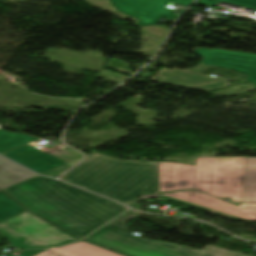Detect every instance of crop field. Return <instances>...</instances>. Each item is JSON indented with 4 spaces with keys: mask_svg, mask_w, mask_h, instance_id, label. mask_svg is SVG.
Masks as SVG:
<instances>
[{
    "mask_svg": "<svg viewBox=\"0 0 256 256\" xmlns=\"http://www.w3.org/2000/svg\"><path fill=\"white\" fill-rule=\"evenodd\" d=\"M3 190L36 215L80 238L127 209L110 200L42 176ZM82 229L86 232L80 234Z\"/></svg>",
    "mask_w": 256,
    "mask_h": 256,
    "instance_id": "crop-field-1",
    "label": "crop field"
},
{
    "mask_svg": "<svg viewBox=\"0 0 256 256\" xmlns=\"http://www.w3.org/2000/svg\"><path fill=\"white\" fill-rule=\"evenodd\" d=\"M62 179L125 205L141 194L159 193L157 162L119 161L98 153Z\"/></svg>",
    "mask_w": 256,
    "mask_h": 256,
    "instance_id": "crop-field-2",
    "label": "crop field"
},
{
    "mask_svg": "<svg viewBox=\"0 0 256 256\" xmlns=\"http://www.w3.org/2000/svg\"><path fill=\"white\" fill-rule=\"evenodd\" d=\"M246 157H198L197 166L158 162L160 192L193 189L242 202Z\"/></svg>",
    "mask_w": 256,
    "mask_h": 256,
    "instance_id": "crop-field-3",
    "label": "crop field"
},
{
    "mask_svg": "<svg viewBox=\"0 0 256 256\" xmlns=\"http://www.w3.org/2000/svg\"><path fill=\"white\" fill-rule=\"evenodd\" d=\"M139 213L129 210L84 240L127 256H247L210 245L199 250L140 238L126 227L127 221Z\"/></svg>",
    "mask_w": 256,
    "mask_h": 256,
    "instance_id": "crop-field-4",
    "label": "crop field"
},
{
    "mask_svg": "<svg viewBox=\"0 0 256 256\" xmlns=\"http://www.w3.org/2000/svg\"><path fill=\"white\" fill-rule=\"evenodd\" d=\"M0 233L19 249L54 247L78 240L27 211L1 221Z\"/></svg>",
    "mask_w": 256,
    "mask_h": 256,
    "instance_id": "crop-field-5",
    "label": "crop field"
},
{
    "mask_svg": "<svg viewBox=\"0 0 256 256\" xmlns=\"http://www.w3.org/2000/svg\"><path fill=\"white\" fill-rule=\"evenodd\" d=\"M115 7L130 16L141 20V26L156 25L166 16L176 20L179 16L172 14L174 10L164 8L169 1L189 6L193 0H111Z\"/></svg>",
    "mask_w": 256,
    "mask_h": 256,
    "instance_id": "crop-field-6",
    "label": "crop field"
},
{
    "mask_svg": "<svg viewBox=\"0 0 256 256\" xmlns=\"http://www.w3.org/2000/svg\"><path fill=\"white\" fill-rule=\"evenodd\" d=\"M192 52L203 57L201 64L214 65L243 72L247 74V82L256 84V54L216 48H198Z\"/></svg>",
    "mask_w": 256,
    "mask_h": 256,
    "instance_id": "crop-field-7",
    "label": "crop field"
},
{
    "mask_svg": "<svg viewBox=\"0 0 256 256\" xmlns=\"http://www.w3.org/2000/svg\"><path fill=\"white\" fill-rule=\"evenodd\" d=\"M207 67L209 66L199 65L198 68H190L185 70H168L164 68L160 73L157 74V76L162 77L164 79L162 81L152 79V81L183 87L187 89L203 91L230 85L228 80H224L219 77L213 78L199 74Z\"/></svg>",
    "mask_w": 256,
    "mask_h": 256,
    "instance_id": "crop-field-8",
    "label": "crop field"
},
{
    "mask_svg": "<svg viewBox=\"0 0 256 256\" xmlns=\"http://www.w3.org/2000/svg\"><path fill=\"white\" fill-rule=\"evenodd\" d=\"M167 196H171L247 220H256V203H243L236 207L234 205L200 194L195 191L167 194Z\"/></svg>",
    "mask_w": 256,
    "mask_h": 256,
    "instance_id": "crop-field-9",
    "label": "crop field"
},
{
    "mask_svg": "<svg viewBox=\"0 0 256 256\" xmlns=\"http://www.w3.org/2000/svg\"><path fill=\"white\" fill-rule=\"evenodd\" d=\"M2 154L41 174L66 164L28 144Z\"/></svg>",
    "mask_w": 256,
    "mask_h": 256,
    "instance_id": "crop-field-10",
    "label": "crop field"
},
{
    "mask_svg": "<svg viewBox=\"0 0 256 256\" xmlns=\"http://www.w3.org/2000/svg\"><path fill=\"white\" fill-rule=\"evenodd\" d=\"M35 256H121L80 241L56 249H47Z\"/></svg>",
    "mask_w": 256,
    "mask_h": 256,
    "instance_id": "crop-field-11",
    "label": "crop field"
},
{
    "mask_svg": "<svg viewBox=\"0 0 256 256\" xmlns=\"http://www.w3.org/2000/svg\"><path fill=\"white\" fill-rule=\"evenodd\" d=\"M38 176L22 166L0 156V188Z\"/></svg>",
    "mask_w": 256,
    "mask_h": 256,
    "instance_id": "crop-field-12",
    "label": "crop field"
},
{
    "mask_svg": "<svg viewBox=\"0 0 256 256\" xmlns=\"http://www.w3.org/2000/svg\"><path fill=\"white\" fill-rule=\"evenodd\" d=\"M243 202H256V157H247Z\"/></svg>",
    "mask_w": 256,
    "mask_h": 256,
    "instance_id": "crop-field-13",
    "label": "crop field"
},
{
    "mask_svg": "<svg viewBox=\"0 0 256 256\" xmlns=\"http://www.w3.org/2000/svg\"><path fill=\"white\" fill-rule=\"evenodd\" d=\"M37 139L39 138L0 129V153Z\"/></svg>",
    "mask_w": 256,
    "mask_h": 256,
    "instance_id": "crop-field-14",
    "label": "crop field"
},
{
    "mask_svg": "<svg viewBox=\"0 0 256 256\" xmlns=\"http://www.w3.org/2000/svg\"><path fill=\"white\" fill-rule=\"evenodd\" d=\"M23 211L25 209L0 191V221Z\"/></svg>",
    "mask_w": 256,
    "mask_h": 256,
    "instance_id": "crop-field-15",
    "label": "crop field"
},
{
    "mask_svg": "<svg viewBox=\"0 0 256 256\" xmlns=\"http://www.w3.org/2000/svg\"><path fill=\"white\" fill-rule=\"evenodd\" d=\"M218 2H224V3H229L233 5L255 9L253 11V14L256 15V0H198L195 4L216 5Z\"/></svg>",
    "mask_w": 256,
    "mask_h": 256,
    "instance_id": "crop-field-16",
    "label": "crop field"
},
{
    "mask_svg": "<svg viewBox=\"0 0 256 256\" xmlns=\"http://www.w3.org/2000/svg\"><path fill=\"white\" fill-rule=\"evenodd\" d=\"M45 249H40V250H30V251H24L23 253H21L23 256H32L34 254H37L41 251H43ZM7 256H14V255H7Z\"/></svg>",
    "mask_w": 256,
    "mask_h": 256,
    "instance_id": "crop-field-17",
    "label": "crop field"
},
{
    "mask_svg": "<svg viewBox=\"0 0 256 256\" xmlns=\"http://www.w3.org/2000/svg\"><path fill=\"white\" fill-rule=\"evenodd\" d=\"M81 233L85 232L84 230L80 231Z\"/></svg>",
    "mask_w": 256,
    "mask_h": 256,
    "instance_id": "crop-field-18",
    "label": "crop field"
}]
</instances>
